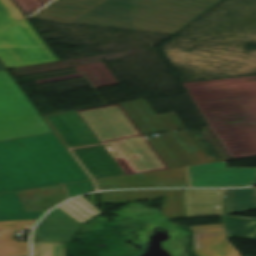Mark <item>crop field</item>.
Here are the masks:
<instances>
[{"label":"crop field","instance_id":"crop-field-21","mask_svg":"<svg viewBox=\"0 0 256 256\" xmlns=\"http://www.w3.org/2000/svg\"><path fill=\"white\" fill-rule=\"evenodd\" d=\"M65 243H41L34 237V256H64Z\"/></svg>","mask_w":256,"mask_h":256},{"label":"crop field","instance_id":"crop-field-17","mask_svg":"<svg viewBox=\"0 0 256 256\" xmlns=\"http://www.w3.org/2000/svg\"><path fill=\"white\" fill-rule=\"evenodd\" d=\"M42 213H25L15 192L0 195V221L38 219Z\"/></svg>","mask_w":256,"mask_h":256},{"label":"crop field","instance_id":"crop-field-26","mask_svg":"<svg viewBox=\"0 0 256 256\" xmlns=\"http://www.w3.org/2000/svg\"><path fill=\"white\" fill-rule=\"evenodd\" d=\"M4 69L3 66L0 64V70Z\"/></svg>","mask_w":256,"mask_h":256},{"label":"crop field","instance_id":"crop-field-3","mask_svg":"<svg viewBox=\"0 0 256 256\" xmlns=\"http://www.w3.org/2000/svg\"><path fill=\"white\" fill-rule=\"evenodd\" d=\"M52 132L7 72L0 71V141Z\"/></svg>","mask_w":256,"mask_h":256},{"label":"crop field","instance_id":"crop-field-23","mask_svg":"<svg viewBox=\"0 0 256 256\" xmlns=\"http://www.w3.org/2000/svg\"><path fill=\"white\" fill-rule=\"evenodd\" d=\"M0 3L8 12V14L12 17L16 24L25 19L11 0H0Z\"/></svg>","mask_w":256,"mask_h":256},{"label":"crop field","instance_id":"crop-field-13","mask_svg":"<svg viewBox=\"0 0 256 256\" xmlns=\"http://www.w3.org/2000/svg\"><path fill=\"white\" fill-rule=\"evenodd\" d=\"M78 226V222L56 208L41 220L33 235L41 236L42 241H70Z\"/></svg>","mask_w":256,"mask_h":256},{"label":"crop field","instance_id":"crop-field-19","mask_svg":"<svg viewBox=\"0 0 256 256\" xmlns=\"http://www.w3.org/2000/svg\"><path fill=\"white\" fill-rule=\"evenodd\" d=\"M162 215L169 219L185 218L182 190H164Z\"/></svg>","mask_w":256,"mask_h":256},{"label":"crop field","instance_id":"crop-field-20","mask_svg":"<svg viewBox=\"0 0 256 256\" xmlns=\"http://www.w3.org/2000/svg\"><path fill=\"white\" fill-rule=\"evenodd\" d=\"M99 196L100 202H117L118 199L124 201L128 199V201H134V199H155V197H163V190H154V191H119V192H104L97 193Z\"/></svg>","mask_w":256,"mask_h":256},{"label":"crop field","instance_id":"crop-field-22","mask_svg":"<svg viewBox=\"0 0 256 256\" xmlns=\"http://www.w3.org/2000/svg\"><path fill=\"white\" fill-rule=\"evenodd\" d=\"M66 187H67V191H68V194L70 197L80 194V193L94 190L91 181L75 183V184H68V185H66Z\"/></svg>","mask_w":256,"mask_h":256},{"label":"crop field","instance_id":"crop-field-1","mask_svg":"<svg viewBox=\"0 0 256 256\" xmlns=\"http://www.w3.org/2000/svg\"><path fill=\"white\" fill-rule=\"evenodd\" d=\"M88 180L55 133L0 142V193Z\"/></svg>","mask_w":256,"mask_h":256},{"label":"crop field","instance_id":"crop-field-25","mask_svg":"<svg viewBox=\"0 0 256 256\" xmlns=\"http://www.w3.org/2000/svg\"><path fill=\"white\" fill-rule=\"evenodd\" d=\"M5 232H14V230H7V231H5Z\"/></svg>","mask_w":256,"mask_h":256},{"label":"crop field","instance_id":"crop-field-4","mask_svg":"<svg viewBox=\"0 0 256 256\" xmlns=\"http://www.w3.org/2000/svg\"><path fill=\"white\" fill-rule=\"evenodd\" d=\"M50 50L26 19L16 25L0 5V60L6 69L58 61Z\"/></svg>","mask_w":256,"mask_h":256},{"label":"crop field","instance_id":"crop-field-7","mask_svg":"<svg viewBox=\"0 0 256 256\" xmlns=\"http://www.w3.org/2000/svg\"><path fill=\"white\" fill-rule=\"evenodd\" d=\"M104 146L113 158H121L130 171L143 173L168 168L145 137L132 138ZM134 155L138 158L132 157Z\"/></svg>","mask_w":256,"mask_h":256},{"label":"crop field","instance_id":"crop-field-10","mask_svg":"<svg viewBox=\"0 0 256 256\" xmlns=\"http://www.w3.org/2000/svg\"><path fill=\"white\" fill-rule=\"evenodd\" d=\"M46 118L70 148L100 143L77 111Z\"/></svg>","mask_w":256,"mask_h":256},{"label":"crop field","instance_id":"crop-field-16","mask_svg":"<svg viewBox=\"0 0 256 256\" xmlns=\"http://www.w3.org/2000/svg\"><path fill=\"white\" fill-rule=\"evenodd\" d=\"M256 210V188L227 190L224 215Z\"/></svg>","mask_w":256,"mask_h":256},{"label":"crop field","instance_id":"crop-field-24","mask_svg":"<svg viewBox=\"0 0 256 256\" xmlns=\"http://www.w3.org/2000/svg\"><path fill=\"white\" fill-rule=\"evenodd\" d=\"M88 196H89L90 202H91L94 206H97L94 193H93V194H89Z\"/></svg>","mask_w":256,"mask_h":256},{"label":"crop field","instance_id":"crop-field-18","mask_svg":"<svg viewBox=\"0 0 256 256\" xmlns=\"http://www.w3.org/2000/svg\"><path fill=\"white\" fill-rule=\"evenodd\" d=\"M228 238L256 240V219L224 216Z\"/></svg>","mask_w":256,"mask_h":256},{"label":"crop field","instance_id":"crop-field-11","mask_svg":"<svg viewBox=\"0 0 256 256\" xmlns=\"http://www.w3.org/2000/svg\"><path fill=\"white\" fill-rule=\"evenodd\" d=\"M105 1L107 0H54L31 18L71 23Z\"/></svg>","mask_w":256,"mask_h":256},{"label":"crop field","instance_id":"crop-field-14","mask_svg":"<svg viewBox=\"0 0 256 256\" xmlns=\"http://www.w3.org/2000/svg\"><path fill=\"white\" fill-rule=\"evenodd\" d=\"M26 212L47 211L67 199L63 186L16 192Z\"/></svg>","mask_w":256,"mask_h":256},{"label":"crop field","instance_id":"crop-field-6","mask_svg":"<svg viewBox=\"0 0 256 256\" xmlns=\"http://www.w3.org/2000/svg\"><path fill=\"white\" fill-rule=\"evenodd\" d=\"M190 187L249 186L256 168H226L225 161L186 167Z\"/></svg>","mask_w":256,"mask_h":256},{"label":"crop field","instance_id":"crop-field-9","mask_svg":"<svg viewBox=\"0 0 256 256\" xmlns=\"http://www.w3.org/2000/svg\"><path fill=\"white\" fill-rule=\"evenodd\" d=\"M189 228L194 232V252L197 256H239L227 241L223 224Z\"/></svg>","mask_w":256,"mask_h":256},{"label":"crop field","instance_id":"crop-field-15","mask_svg":"<svg viewBox=\"0 0 256 256\" xmlns=\"http://www.w3.org/2000/svg\"><path fill=\"white\" fill-rule=\"evenodd\" d=\"M36 220L0 222V256H29L28 244L17 242L14 233H1L7 229H22Z\"/></svg>","mask_w":256,"mask_h":256},{"label":"crop field","instance_id":"crop-field-5","mask_svg":"<svg viewBox=\"0 0 256 256\" xmlns=\"http://www.w3.org/2000/svg\"><path fill=\"white\" fill-rule=\"evenodd\" d=\"M78 112L101 143L142 135L119 104Z\"/></svg>","mask_w":256,"mask_h":256},{"label":"crop field","instance_id":"crop-field-8","mask_svg":"<svg viewBox=\"0 0 256 256\" xmlns=\"http://www.w3.org/2000/svg\"><path fill=\"white\" fill-rule=\"evenodd\" d=\"M98 188L188 187L184 167L96 180Z\"/></svg>","mask_w":256,"mask_h":256},{"label":"crop field","instance_id":"crop-field-12","mask_svg":"<svg viewBox=\"0 0 256 256\" xmlns=\"http://www.w3.org/2000/svg\"><path fill=\"white\" fill-rule=\"evenodd\" d=\"M72 151L95 179L125 175L103 145Z\"/></svg>","mask_w":256,"mask_h":256},{"label":"crop field","instance_id":"crop-field-2","mask_svg":"<svg viewBox=\"0 0 256 256\" xmlns=\"http://www.w3.org/2000/svg\"><path fill=\"white\" fill-rule=\"evenodd\" d=\"M222 0H108L75 24L174 34Z\"/></svg>","mask_w":256,"mask_h":256}]
</instances>
